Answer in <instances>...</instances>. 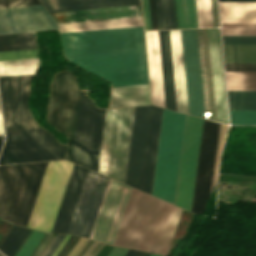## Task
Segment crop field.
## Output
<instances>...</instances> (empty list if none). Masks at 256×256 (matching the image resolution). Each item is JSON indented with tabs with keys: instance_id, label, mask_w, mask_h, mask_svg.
<instances>
[{
	"instance_id": "obj_1",
	"label": "crop field",
	"mask_w": 256,
	"mask_h": 256,
	"mask_svg": "<svg viewBox=\"0 0 256 256\" xmlns=\"http://www.w3.org/2000/svg\"><path fill=\"white\" fill-rule=\"evenodd\" d=\"M34 74L0 78L7 140L0 165L64 159L66 145L40 129L27 109L30 80Z\"/></svg>"
},
{
	"instance_id": "obj_2",
	"label": "crop field",
	"mask_w": 256,
	"mask_h": 256,
	"mask_svg": "<svg viewBox=\"0 0 256 256\" xmlns=\"http://www.w3.org/2000/svg\"><path fill=\"white\" fill-rule=\"evenodd\" d=\"M181 211L133 189L113 245L166 254Z\"/></svg>"
},
{
	"instance_id": "obj_3",
	"label": "crop field",
	"mask_w": 256,
	"mask_h": 256,
	"mask_svg": "<svg viewBox=\"0 0 256 256\" xmlns=\"http://www.w3.org/2000/svg\"><path fill=\"white\" fill-rule=\"evenodd\" d=\"M49 12L140 4V0H42ZM56 23L140 16L139 6L51 13ZM60 33L142 26L141 17L57 24Z\"/></svg>"
},
{
	"instance_id": "obj_4",
	"label": "crop field",
	"mask_w": 256,
	"mask_h": 256,
	"mask_svg": "<svg viewBox=\"0 0 256 256\" xmlns=\"http://www.w3.org/2000/svg\"><path fill=\"white\" fill-rule=\"evenodd\" d=\"M47 163L0 166V217L27 226Z\"/></svg>"
},
{
	"instance_id": "obj_5",
	"label": "crop field",
	"mask_w": 256,
	"mask_h": 256,
	"mask_svg": "<svg viewBox=\"0 0 256 256\" xmlns=\"http://www.w3.org/2000/svg\"><path fill=\"white\" fill-rule=\"evenodd\" d=\"M60 36L66 58L145 52L142 27Z\"/></svg>"
},
{
	"instance_id": "obj_6",
	"label": "crop field",
	"mask_w": 256,
	"mask_h": 256,
	"mask_svg": "<svg viewBox=\"0 0 256 256\" xmlns=\"http://www.w3.org/2000/svg\"><path fill=\"white\" fill-rule=\"evenodd\" d=\"M185 118V114L164 109L152 194L173 204Z\"/></svg>"
},
{
	"instance_id": "obj_7",
	"label": "crop field",
	"mask_w": 256,
	"mask_h": 256,
	"mask_svg": "<svg viewBox=\"0 0 256 256\" xmlns=\"http://www.w3.org/2000/svg\"><path fill=\"white\" fill-rule=\"evenodd\" d=\"M134 107L108 109L98 172L124 183Z\"/></svg>"
},
{
	"instance_id": "obj_8",
	"label": "crop field",
	"mask_w": 256,
	"mask_h": 256,
	"mask_svg": "<svg viewBox=\"0 0 256 256\" xmlns=\"http://www.w3.org/2000/svg\"><path fill=\"white\" fill-rule=\"evenodd\" d=\"M106 110L80 93L71 161L97 172Z\"/></svg>"
},
{
	"instance_id": "obj_9",
	"label": "crop field",
	"mask_w": 256,
	"mask_h": 256,
	"mask_svg": "<svg viewBox=\"0 0 256 256\" xmlns=\"http://www.w3.org/2000/svg\"><path fill=\"white\" fill-rule=\"evenodd\" d=\"M113 87L148 84L145 53L69 59Z\"/></svg>"
},
{
	"instance_id": "obj_10",
	"label": "crop field",
	"mask_w": 256,
	"mask_h": 256,
	"mask_svg": "<svg viewBox=\"0 0 256 256\" xmlns=\"http://www.w3.org/2000/svg\"><path fill=\"white\" fill-rule=\"evenodd\" d=\"M79 87L70 72L62 71L53 79L48 122L69 137L66 159L70 160Z\"/></svg>"
},
{
	"instance_id": "obj_11",
	"label": "crop field",
	"mask_w": 256,
	"mask_h": 256,
	"mask_svg": "<svg viewBox=\"0 0 256 256\" xmlns=\"http://www.w3.org/2000/svg\"><path fill=\"white\" fill-rule=\"evenodd\" d=\"M203 119L186 118L175 204L190 211Z\"/></svg>"
},
{
	"instance_id": "obj_12",
	"label": "crop field",
	"mask_w": 256,
	"mask_h": 256,
	"mask_svg": "<svg viewBox=\"0 0 256 256\" xmlns=\"http://www.w3.org/2000/svg\"><path fill=\"white\" fill-rule=\"evenodd\" d=\"M131 188L109 180L91 239L113 244Z\"/></svg>"
},
{
	"instance_id": "obj_13",
	"label": "crop field",
	"mask_w": 256,
	"mask_h": 256,
	"mask_svg": "<svg viewBox=\"0 0 256 256\" xmlns=\"http://www.w3.org/2000/svg\"><path fill=\"white\" fill-rule=\"evenodd\" d=\"M219 124L204 119L191 211L203 213L210 195Z\"/></svg>"
},
{
	"instance_id": "obj_14",
	"label": "crop field",
	"mask_w": 256,
	"mask_h": 256,
	"mask_svg": "<svg viewBox=\"0 0 256 256\" xmlns=\"http://www.w3.org/2000/svg\"><path fill=\"white\" fill-rule=\"evenodd\" d=\"M108 180L88 171L68 233L90 237Z\"/></svg>"
},
{
	"instance_id": "obj_15",
	"label": "crop field",
	"mask_w": 256,
	"mask_h": 256,
	"mask_svg": "<svg viewBox=\"0 0 256 256\" xmlns=\"http://www.w3.org/2000/svg\"><path fill=\"white\" fill-rule=\"evenodd\" d=\"M189 114L203 117L196 29L181 30Z\"/></svg>"
},
{
	"instance_id": "obj_16",
	"label": "crop field",
	"mask_w": 256,
	"mask_h": 256,
	"mask_svg": "<svg viewBox=\"0 0 256 256\" xmlns=\"http://www.w3.org/2000/svg\"><path fill=\"white\" fill-rule=\"evenodd\" d=\"M57 29L42 5L0 9V34Z\"/></svg>"
},
{
	"instance_id": "obj_17",
	"label": "crop field",
	"mask_w": 256,
	"mask_h": 256,
	"mask_svg": "<svg viewBox=\"0 0 256 256\" xmlns=\"http://www.w3.org/2000/svg\"><path fill=\"white\" fill-rule=\"evenodd\" d=\"M73 163L57 161L44 197L35 229L50 232L63 197Z\"/></svg>"
},
{
	"instance_id": "obj_18",
	"label": "crop field",
	"mask_w": 256,
	"mask_h": 256,
	"mask_svg": "<svg viewBox=\"0 0 256 256\" xmlns=\"http://www.w3.org/2000/svg\"><path fill=\"white\" fill-rule=\"evenodd\" d=\"M150 106L135 107L125 183L138 189Z\"/></svg>"
},
{
	"instance_id": "obj_19",
	"label": "crop field",
	"mask_w": 256,
	"mask_h": 256,
	"mask_svg": "<svg viewBox=\"0 0 256 256\" xmlns=\"http://www.w3.org/2000/svg\"><path fill=\"white\" fill-rule=\"evenodd\" d=\"M163 109L151 106L140 186L139 189L151 194L161 119Z\"/></svg>"
},
{
	"instance_id": "obj_20",
	"label": "crop field",
	"mask_w": 256,
	"mask_h": 256,
	"mask_svg": "<svg viewBox=\"0 0 256 256\" xmlns=\"http://www.w3.org/2000/svg\"><path fill=\"white\" fill-rule=\"evenodd\" d=\"M87 169L74 165L64 197L62 199L56 220L54 222L53 233H66L71 217L73 215L82 185L84 183Z\"/></svg>"
},
{
	"instance_id": "obj_21",
	"label": "crop field",
	"mask_w": 256,
	"mask_h": 256,
	"mask_svg": "<svg viewBox=\"0 0 256 256\" xmlns=\"http://www.w3.org/2000/svg\"><path fill=\"white\" fill-rule=\"evenodd\" d=\"M218 121L228 124L224 76L218 28L208 29Z\"/></svg>"
},
{
	"instance_id": "obj_22",
	"label": "crop field",
	"mask_w": 256,
	"mask_h": 256,
	"mask_svg": "<svg viewBox=\"0 0 256 256\" xmlns=\"http://www.w3.org/2000/svg\"><path fill=\"white\" fill-rule=\"evenodd\" d=\"M152 104L165 108L157 31L145 32Z\"/></svg>"
},
{
	"instance_id": "obj_23",
	"label": "crop field",
	"mask_w": 256,
	"mask_h": 256,
	"mask_svg": "<svg viewBox=\"0 0 256 256\" xmlns=\"http://www.w3.org/2000/svg\"><path fill=\"white\" fill-rule=\"evenodd\" d=\"M166 108L176 110L169 31H158Z\"/></svg>"
},
{
	"instance_id": "obj_24",
	"label": "crop field",
	"mask_w": 256,
	"mask_h": 256,
	"mask_svg": "<svg viewBox=\"0 0 256 256\" xmlns=\"http://www.w3.org/2000/svg\"><path fill=\"white\" fill-rule=\"evenodd\" d=\"M178 111L187 113V99L180 30L170 31Z\"/></svg>"
},
{
	"instance_id": "obj_25",
	"label": "crop field",
	"mask_w": 256,
	"mask_h": 256,
	"mask_svg": "<svg viewBox=\"0 0 256 256\" xmlns=\"http://www.w3.org/2000/svg\"><path fill=\"white\" fill-rule=\"evenodd\" d=\"M221 23H256V2H219Z\"/></svg>"
},
{
	"instance_id": "obj_26",
	"label": "crop field",
	"mask_w": 256,
	"mask_h": 256,
	"mask_svg": "<svg viewBox=\"0 0 256 256\" xmlns=\"http://www.w3.org/2000/svg\"><path fill=\"white\" fill-rule=\"evenodd\" d=\"M150 104L148 85L112 88L111 108Z\"/></svg>"
},
{
	"instance_id": "obj_27",
	"label": "crop field",
	"mask_w": 256,
	"mask_h": 256,
	"mask_svg": "<svg viewBox=\"0 0 256 256\" xmlns=\"http://www.w3.org/2000/svg\"><path fill=\"white\" fill-rule=\"evenodd\" d=\"M225 63H256V45H223Z\"/></svg>"
},
{
	"instance_id": "obj_28",
	"label": "crop field",
	"mask_w": 256,
	"mask_h": 256,
	"mask_svg": "<svg viewBox=\"0 0 256 256\" xmlns=\"http://www.w3.org/2000/svg\"><path fill=\"white\" fill-rule=\"evenodd\" d=\"M158 29L177 28L174 0H155Z\"/></svg>"
},
{
	"instance_id": "obj_29",
	"label": "crop field",
	"mask_w": 256,
	"mask_h": 256,
	"mask_svg": "<svg viewBox=\"0 0 256 256\" xmlns=\"http://www.w3.org/2000/svg\"><path fill=\"white\" fill-rule=\"evenodd\" d=\"M36 48L33 33L0 36V52Z\"/></svg>"
},
{
	"instance_id": "obj_30",
	"label": "crop field",
	"mask_w": 256,
	"mask_h": 256,
	"mask_svg": "<svg viewBox=\"0 0 256 256\" xmlns=\"http://www.w3.org/2000/svg\"><path fill=\"white\" fill-rule=\"evenodd\" d=\"M38 59L0 62V77L35 73Z\"/></svg>"
},
{
	"instance_id": "obj_31",
	"label": "crop field",
	"mask_w": 256,
	"mask_h": 256,
	"mask_svg": "<svg viewBox=\"0 0 256 256\" xmlns=\"http://www.w3.org/2000/svg\"><path fill=\"white\" fill-rule=\"evenodd\" d=\"M178 28H197L194 0H175Z\"/></svg>"
},
{
	"instance_id": "obj_32",
	"label": "crop field",
	"mask_w": 256,
	"mask_h": 256,
	"mask_svg": "<svg viewBox=\"0 0 256 256\" xmlns=\"http://www.w3.org/2000/svg\"><path fill=\"white\" fill-rule=\"evenodd\" d=\"M228 90H256V72H226Z\"/></svg>"
},
{
	"instance_id": "obj_33",
	"label": "crop field",
	"mask_w": 256,
	"mask_h": 256,
	"mask_svg": "<svg viewBox=\"0 0 256 256\" xmlns=\"http://www.w3.org/2000/svg\"><path fill=\"white\" fill-rule=\"evenodd\" d=\"M230 110H256V91H228Z\"/></svg>"
},
{
	"instance_id": "obj_34",
	"label": "crop field",
	"mask_w": 256,
	"mask_h": 256,
	"mask_svg": "<svg viewBox=\"0 0 256 256\" xmlns=\"http://www.w3.org/2000/svg\"><path fill=\"white\" fill-rule=\"evenodd\" d=\"M30 230L13 225L10 232L2 242L0 251L6 256H13Z\"/></svg>"
},
{
	"instance_id": "obj_35",
	"label": "crop field",
	"mask_w": 256,
	"mask_h": 256,
	"mask_svg": "<svg viewBox=\"0 0 256 256\" xmlns=\"http://www.w3.org/2000/svg\"><path fill=\"white\" fill-rule=\"evenodd\" d=\"M55 162L56 161H52V162L48 163V166H47V169H46V172H45V175H44V178H43V181H42V184H41V187H40V190H39V193H38V196H37V199H36V202H35V205H34V208H33V211H32V214H31V217H30L27 227H30V228L34 227L44 194L46 192V189H47V186H48V183H49V180H50V177H51L54 165H55Z\"/></svg>"
},
{
	"instance_id": "obj_36",
	"label": "crop field",
	"mask_w": 256,
	"mask_h": 256,
	"mask_svg": "<svg viewBox=\"0 0 256 256\" xmlns=\"http://www.w3.org/2000/svg\"><path fill=\"white\" fill-rule=\"evenodd\" d=\"M198 28L212 27L209 0H195Z\"/></svg>"
},
{
	"instance_id": "obj_37",
	"label": "crop field",
	"mask_w": 256,
	"mask_h": 256,
	"mask_svg": "<svg viewBox=\"0 0 256 256\" xmlns=\"http://www.w3.org/2000/svg\"><path fill=\"white\" fill-rule=\"evenodd\" d=\"M222 35H256V24H221Z\"/></svg>"
},
{
	"instance_id": "obj_38",
	"label": "crop field",
	"mask_w": 256,
	"mask_h": 256,
	"mask_svg": "<svg viewBox=\"0 0 256 256\" xmlns=\"http://www.w3.org/2000/svg\"><path fill=\"white\" fill-rule=\"evenodd\" d=\"M232 124H256V111H230Z\"/></svg>"
},
{
	"instance_id": "obj_39",
	"label": "crop field",
	"mask_w": 256,
	"mask_h": 256,
	"mask_svg": "<svg viewBox=\"0 0 256 256\" xmlns=\"http://www.w3.org/2000/svg\"><path fill=\"white\" fill-rule=\"evenodd\" d=\"M35 231H33V233L28 238V240L26 241L24 246L21 248V250L19 251L17 256H30L32 254L34 249L37 247V245L39 244V242L42 240V238L45 235V234H43L44 232L39 233L40 231L39 232H35Z\"/></svg>"
},
{
	"instance_id": "obj_40",
	"label": "crop field",
	"mask_w": 256,
	"mask_h": 256,
	"mask_svg": "<svg viewBox=\"0 0 256 256\" xmlns=\"http://www.w3.org/2000/svg\"><path fill=\"white\" fill-rule=\"evenodd\" d=\"M31 58H38L36 49L0 53V61Z\"/></svg>"
},
{
	"instance_id": "obj_41",
	"label": "crop field",
	"mask_w": 256,
	"mask_h": 256,
	"mask_svg": "<svg viewBox=\"0 0 256 256\" xmlns=\"http://www.w3.org/2000/svg\"><path fill=\"white\" fill-rule=\"evenodd\" d=\"M223 44H256V36H222Z\"/></svg>"
},
{
	"instance_id": "obj_42",
	"label": "crop field",
	"mask_w": 256,
	"mask_h": 256,
	"mask_svg": "<svg viewBox=\"0 0 256 256\" xmlns=\"http://www.w3.org/2000/svg\"><path fill=\"white\" fill-rule=\"evenodd\" d=\"M42 4L40 0H0V8L13 7V6H25V5H37Z\"/></svg>"
},
{
	"instance_id": "obj_43",
	"label": "crop field",
	"mask_w": 256,
	"mask_h": 256,
	"mask_svg": "<svg viewBox=\"0 0 256 256\" xmlns=\"http://www.w3.org/2000/svg\"><path fill=\"white\" fill-rule=\"evenodd\" d=\"M226 71H256V64H225Z\"/></svg>"
},
{
	"instance_id": "obj_44",
	"label": "crop field",
	"mask_w": 256,
	"mask_h": 256,
	"mask_svg": "<svg viewBox=\"0 0 256 256\" xmlns=\"http://www.w3.org/2000/svg\"><path fill=\"white\" fill-rule=\"evenodd\" d=\"M64 237L65 235H57L43 256H51Z\"/></svg>"
},
{
	"instance_id": "obj_45",
	"label": "crop field",
	"mask_w": 256,
	"mask_h": 256,
	"mask_svg": "<svg viewBox=\"0 0 256 256\" xmlns=\"http://www.w3.org/2000/svg\"><path fill=\"white\" fill-rule=\"evenodd\" d=\"M150 11H151L152 30H155V29H157V25H156V15H155L154 0H150Z\"/></svg>"
},
{
	"instance_id": "obj_46",
	"label": "crop field",
	"mask_w": 256,
	"mask_h": 256,
	"mask_svg": "<svg viewBox=\"0 0 256 256\" xmlns=\"http://www.w3.org/2000/svg\"><path fill=\"white\" fill-rule=\"evenodd\" d=\"M127 252V249L117 248L114 247V249L111 251L109 256H124V254Z\"/></svg>"
},
{
	"instance_id": "obj_47",
	"label": "crop field",
	"mask_w": 256,
	"mask_h": 256,
	"mask_svg": "<svg viewBox=\"0 0 256 256\" xmlns=\"http://www.w3.org/2000/svg\"><path fill=\"white\" fill-rule=\"evenodd\" d=\"M113 249L112 246L105 245L103 249L98 253L97 256H108L110 251Z\"/></svg>"
},
{
	"instance_id": "obj_48",
	"label": "crop field",
	"mask_w": 256,
	"mask_h": 256,
	"mask_svg": "<svg viewBox=\"0 0 256 256\" xmlns=\"http://www.w3.org/2000/svg\"><path fill=\"white\" fill-rule=\"evenodd\" d=\"M69 237H70V235H66V237L63 239V241L61 242V244L59 245V247L56 249V251L54 252V254L52 256H56L58 254V252L63 247V245L65 244V242L67 241V239Z\"/></svg>"
},
{
	"instance_id": "obj_49",
	"label": "crop field",
	"mask_w": 256,
	"mask_h": 256,
	"mask_svg": "<svg viewBox=\"0 0 256 256\" xmlns=\"http://www.w3.org/2000/svg\"><path fill=\"white\" fill-rule=\"evenodd\" d=\"M146 12H147L148 30H151L148 0H146Z\"/></svg>"
},
{
	"instance_id": "obj_50",
	"label": "crop field",
	"mask_w": 256,
	"mask_h": 256,
	"mask_svg": "<svg viewBox=\"0 0 256 256\" xmlns=\"http://www.w3.org/2000/svg\"><path fill=\"white\" fill-rule=\"evenodd\" d=\"M74 238L73 235H71V237L69 238V240L66 242V244L64 245V247L62 248V250L59 252V254L57 256H61V254L64 252V250L66 249V247L69 245V243L71 242V240Z\"/></svg>"
},
{
	"instance_id": "obj_51",
	"label": "crop field",
	"mask_w": 256,
	"mask_h": 256,
	"mask_svg": "<svg viewBox=\"0 0 256 256\" xmlns=\"http://www.w3.org/2000/svg\"><path fill=\"white\" fill-rule=\"evenodd\" d=\"M138 253V251L134 250H128L125 256H135Z\"/></svg>"
},
{
	"instance_id": "obj_52",
	"label": "crop field",
	"mask_w": 256,
	"mask_h": 256,
	"mask_svg": "<svg viewBox=\"0 0 256 256\" xmlns=\"http://www.w3.org/2000/svg\"><path fill=\"white\" fill-rule=\"evenodd\" d=\"M143 3V13H144V23H145V29L147 30V25H146V15H145V4H144V0H142Z\"/></svg>"
},
{
	"instance_id": "obj_53",
	"label": "crop field",
	"mask_w": 256,
	"mask_h": 256,
	"mask_svg": "<svg viewBox=\"0 0 256 256\" xmlns=\"http://www.w3.org/2000/svg\"><path fill=\"white\" fill-rule=\"evenodd\" d=\"M221 127V124H220ZM219 135H220V128H219ZM218 142H219V136H218ZM217 149H218V144H217ZM216 157H217V152H216ZM215 164H216V160H215ZM214 172H215V168H214ZM213 179H214V175H213ZM212 186H213V180H212ZM211 194H212V187H211ZM211 198V195H210Z\"/></svg>"
},
{
	"instance_id": "obj_54",
	"label": "crop field",
	"mask_w": 256,
	"mask_h": 256,
	"mask_svg": "<svg viewBox=\"0 0 256 256\" xmlns=\"http://www.w3.org/2000/svg\"><path fill=\"white\" fill-rule=\"evenodd\" d=\"M98 244H99V243L96 242V243L94 244V246L88 251V253H87L85 256H89V255L91 254V252L96 248V246H97Z\"/></svg>"
},
{
	"instance_id": "obj_55",
	"label": "crop field",
	"mask_w": 256,
	"mask_h": 256,
	"mask_svg": "<svg viewBox=\"0 0 256 256\" xmlns=\"http://www.w3.org/2000/svg\"><path fill=\"white\" fill-rule=\"evenodd\" d=\"M103 246H104V245L101 244V245L97 248V250L92 254V256H96L97 253L102 249Z\"/></svg>"
},
{
	"instance_id": "obj_56",
	"label": "crop field",
	"mask_w": 256,
	"mask_h": 256,
	"mask_svg": "<svg viewBox=\"0 0 256 256\" xmlns=\"http://www.w3.org/2000/svg\"><path fill=\"white\" fill-rule=\"evenodd\" d=\"M149 255H150L149 253L139 251V253L136 256H149Z\"/></svg>"
},
{
	"instance_id": "obj_57",
	"label": "crop field",
	"mask_w": 256,
	"mask_h": 256,
	"mask_svg": "<svg viewBox=\"0 0 256 256\" xmlns=\"http://www.w3.org/2000/svg\"><path fill=\"white\" fill-rule=\"evenodd\" d=\"M48 235H49V234H48ZM48 235H47V237H48ZM51 236H52V234H51ZM51 236L48 238V240L51 238ZM47 237H46V238H47ZM46 238H45V239H46ZM45 239H44V240H45ZM44 240H43V241H44ZM48 240L46 241V243L48 242ZM42 243H43V242H42ZM42 243H41V244H42ZM46 243H45V244H46ZM41 244H40V246H41ZM45 244L43 245V247L45 246ZM40 246H39V247H40ZM43 247H42V248H43ZM42 248H41V250H42ZM38 249H39V248H38ZM38 249H37V250H38ZM41 250H40V251H41ZM40 251L38 252V254L40 253ZM38 254H37L36 256H38Z\"/></svg>"
},
{
	"instance_id": "obj_58",
	"label": "crop field",
	"mask_w": 256,
	"mask_h": 256,
	"mask_svg": "<svg viewBox=\"0 0 256 256\" xmlns=\"http://www.w3.org/2000/svg\"><path fill=\"white\" fill-rule=\"evenodd\" d=\"M219 1H256V0H219Z\"/></svg>"
},
{
	"instance_id": "obj_59",
	"label": "crop field",
	"mask_w": 256,
	"mask_h": 256,
	"mask_svg": "<svg viewBox=\"0 0 256 256\" xmlns=\"http://www.w3.org/2000/svg\"><path fill=\"white\" fill-rule=\"evenodd\" d=\"M0 134H2V135H3L2 122H1V114H0Z\"/></svg>"
},
{
	"instance_id": "obj_60",
	"label": "crop field",
	"mask_w": 256,
	"mask_h": 256,
	"mask_svg": "<svg viewBox=\"0 0 256 256\" xmlns=\"http://www.w3.org/2000/svg\"><path fill=\"white\" fill-rule=\"evenodd\" d=\"M2 144H3V141H2V139L0 138V149H1V147H2Z\"/></svg>"
},
{
	"instance_id": "obj_61",
	"label": "crop field",
	"mask_w": 256,
	"mask_h": 256,
	"mask_svg": "<svg viewBox=\"0 0 256 256\" xmlns=\"http://www.w3.org/2000/svg\"><path fill=\"white\" fill-rule=\"evenodd\" d=\"M94 243H95V241L92 243V245H93ZM92 245L88 248V250L92 247ZM88 250H87V251H88ZM87 251H86V252H87ZM86 252H85V254H86ZM85 254H84V255H85ZM84 255H83V256H84Z\"/></svg>"
},
{
	"instance_id": "obj_62",
	"label": "crop field",
	"mask_w": 256,
	"mask_h": 256,
	"mask_svg": "<svg viewBox=\"0 0 256 256\" xmlns=\"http://www.w3.org/2000/svg\"><path fill=\"white\" fill-rule=\"evenodd\" d=\"M150 256H160V255H156V254H151Z\"/></svg>"
},
{
	"instance_id": "obj_63",
	"label": "crop field",
	"mask_w": 256,
	"mask_h": 256,
	"mask_svg": "<svg viewBox=\"0 0 256 256\" xmlns=\"http://www.w3.org/2000/svg\"><path fill=\"white\" fill-rule=\"evenodd\" d=\"M88 241H89V240H88ZM89 242H90V241H89ZM87 243H88V242H87ZM87 243H86V244H87ZM86 244H85V245H86ZM84 247H85V246H84ZM84 247H83V248H84ZM83 248H82V249H83ZM81 251H82V250H81ZM81 251H80V252H81ZM80 252H79V253H80ZM78 255H79V254H78ZM78 255H77V256H78Z\"/></svg>"
},
{
	"instance_id": "obj_64",
	"label": "crop field",
	"mask_w": 256,
	"mask_h": 256,
	"mask_svg": "<svg viewBox=\"0 0 256 256\" xmlns=\"http://www.w3.org/2000/svg\"><path fill=\"white\" fill-rule=\"evenodd\" d=\"M1 256H3V255L1 254Z\"/></svg>"
},
{
	"instance_id": "obj_65",
	"label": "crop field",
	"mask_w": 256,
	"mask_h": 256,
	"mask_svg": "<svg viewBox=\"0 0 256 256\" xmlns=\"http://www.w3.org/2000/svg\"><path fill=\"white\" fill-rule=\"evenodd\" d=\"M99 246V245H98Z\"/></svg>"
}]
</instances>
